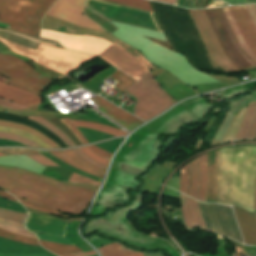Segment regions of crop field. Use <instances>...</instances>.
<instances>
[{
  "label": "crop field",
  "mask_w": 256,
  "mask_h": 256,
  "mask_svg": "<svg viewBox=\"0 0 256 256\" xmlns=\"http://www.w3.org/2000/svg\"><path fill=\"white\" fill-rule=\"evenodd\" d=\"M0 188L69 214L81 213L97 190L95 187L72 185L9 167H0Z\"/></svg>",
  "instance_id": "8a807250"
},
{
  "label": "crop field",
  "mask_w": 256,
  "mask_h": 256,
  "mask_svg": "<svg viewBox=\"0 0 256 256\" xmlns=\"http://www.w3.org/2000/svg\"><path fill=\"white\" fill-rule=\"evenodd\" d=\"M212 59L224 71H236L256 67V64L241 50L231 27L221 8L204 10L215 34L225 52H223L213 29L203 10L188 9Z\"/></svg>",
  "instance_id": "ac0d7876"
},
{
  "label": "crop field",
  "mask_w": 256,
  "mask_h": 256,
  "mask_svg": "<svg viewBox=\"0 0 256 256\" xmlns=\"http://www.w3.org/2000/svg\"><path fill=\"white\" fill-rule=\"evenodd\" d=\"M119 29L112 35L130 46L140 50L144 57L157 66H160L176 76L187 85L217 82L201 71L194 69L184 55L172 52L142 35L165 40L164 33H158L139 27L125 25L111 21Z\"/></svg>",
  "instance_id": "34b2d1b8"
},
{
  "label": "crop field",
  "mask_w": 256,
  "mask_h": 256,
  "mask_svg": "<svg viewBox=\"0 0 256 256\" xmlns=\"http://www.w3.org/2000/svg\"><path fill=\"white\" fill-rule=\"evenodd\" d=\"M180 196L181 211L186 228L193 230V227H200L201 230L204 229L206 231L226 235L240 243H243L230 206L203 204L195 201L203 226L202 229L194 201L182 194H180Z\"/></svg>",
  "instance_id": "412701ff"
},
{
  "label": "crop field",
  "mask_w": 256,
  "mask_h": 256,
  "mask_svg": "<svg viewBox=\"0 0 256 256\" xmlns=\"http://www.w3.org/2000/svg\"><path fill=\"white\" fill-rule=\"evenodd\" d=\"M56 0H0V22L9 30L36 36L41 17Z\"/></svg>",
  "instance_id": "f4fd0767"
},
{
  "label": "crop field",
  "mask_w": 256,
  "mask_h": 256,
  "mask_svg": "<svg viewBox=\"0 0 256 256\" xmlns=\"http://www.w3.org/2000/svg\"><path fill=\"white\" fill-rule=\"evenodd\" d=\"M0 42L5 44L11 51L32 58L38 63L66 76L69 72L74 71L81 64L95 57L42 44H39L36 51H34L3 39H0Z\"/></svg>",
  "instance_id": "dd49c442"
},
{
  "label": "crop field",
  "mask_w": 256,
  "mask_h": 256,
  "mask_svg": "<svg viewBox=\"0 0 256 256\" xmlns=\"http://www.w3.org/2000/svg\"><path fill=\"white\" fill-rule=\"evenodd\" d=\"M126 92L136 98L138 104L135 105V116L144 121L153 118L176 102L162 90L151 72Z\"/></svg>",
  "instance_id": "e52e79f7"
},
{
  "label": "crop field",
  "mask_w": 256,
  "mask_h": 256,
  "mask_svg": "<svg viewBox=\"0 0 256 256\" xmlns=\"http://www.w3.org/2000/svg\"><path fill=\"white\" fill-rule=\"evenodd\" d=\"M0 75L9 79L6 84L38 96L52 81L36 72L27 62L4 54H0Z\"/></svg>",
  "instance_id": "d8731c3e"
},
{
  "label": "crop field",
  "mask_w": 256,
  "mask_h": 256,
  "mask_svg": "<svg viewBox=\"0 0 256 256\" xmlns=\"http://www.w3.org/2000/svg\"><path fill=\"white\" fill-rule=\"evenodd\" d=\"M85 5L110 20L161 31L154 14L151 12L103 0H87Z\"/></svg>",
  "instance_id": "5a996713"
},
{
  "label": "crop field",
  "mask_w": 256,
  "mask_h": 256,
  "mask_svg": "<svg viewBox=\"0 0 256 256\" xmlns=\"http://www.w3.org/2000/svg\"><path fill=\"white\" fill-rule=\"evenodd\" d=\"M256 17V6H250ZM249 6L233 7L252 46L256 49V19ZM232 7L222 8L242 50L256 63V50L251 46Z\"/></svg>",
  "instance_id": "3316defc"
},
{
  "label": "crop field",
  "mask_w": 256,
  "mask_h": 256,
  "mask_svg": "<svg viewBox=\"0 0 256 256\" xmlns=\"http://www.w3.org/2000/svg\"><path fill=\"white\" fill-rule=\"evenodd\" d=\"M98 56L136 80L150 71L136 54L117 42Z\"/></svg>",
  "instance_id": "28ad6ade"
},
{
  "label": "crop field",
  "mask_w": 256,
  "mask_h": 256,
  "mask_svg": "<svg viewBox=\"0 0 256 256\" xmlns=\"http://www.w3.org/2000/svg\"><path fill=\"white\" fill-rule=\"evenodd\" d=\"M41 37L57 40L68 49L96 55L100 54L112 44L106 40L95 38L93 36H76L51 30H42Z\"/></svg>",
  "instance_id": "d1516ede"
},
{
  "label": "crop field",
  "mask_w": 256,
  "mask_h": 256,
  "mask_svg": "<svg viewBox=\"0 0 256 256\" xmlns=\"http://www.w3.org/2000/svg\"><path fill=\"white\" fill-rule=\"evenodd\" d=\"M85 0H59L47 15L60 18L71 23L102 31L98 25L81 15Z\"/></svg>",
  "instance_id": "22f410ed"
},
{
  "label": "crop field",
  "mask_w": 256,
  "mask_h": 256,
  "mask_svg": "<svg viewBox=\"0 0 256 256\" xmlns=\"http://www.w3.org/2000/svg\"><path fill=\"white\" fill-rule=\"evenodd\" d=\"M25 227L32 232L64 237L66 224L55 218L29 213Z\"/></svg>",
  "instance_id": "cbeb9de0"
},
{
  "label": "crop field",
  "mask_w": 256,
  "mask_h": 256,
  "mask_svg": "<svg viewBox=\"0 0 256 256\" xmlns=\"http://www.w3.org/2000/svg\"><path fill=\"white\" fill-rule=\"evenodd\" d=\"M91 100L99 107L97 109H99L105 115L114 119L130 131H133L134 129L145 123L99 96L93 97L91 98Z\"/></svg>",
  "instance_id": "5142ce71"
},
{
  "label": "crop field",
  "mask_w": 256,
  "mask_h": 256,
  "mask_svg": "<svg viewBox=\"0 0 256 256\" xmlns=\"http://www.w3.org/2000/svg\"><path fill=\"white\" fill-rule=\"evenodd\" d=\"M0 256H55L41 247L0 238Z\"/></svg>",
  "instance_id": "d9b57169"
},
{
  "label": "crop field",
  "mask_w": 256,
  "mask_h": 256,
  "mask_svg": "<svg viewBox=\"0 0 256 256\" xmlns=\"http://www.w3.org/2000/svg\"><path fill=\"white\" fill-rule=\"evenodd\" d=\"M245 244L256 245V219L249 213L233 207Z\"/></svg>",
  "instance_id": "733c2abd"
},
{
  "label": "crop field",
  "mask_w": 256,
  "mask_h": 256,
  "mask_svg": "<svg viewBox=\"0 0 256 256\" xmlns=\"http://www.w3.org/2000/svg\"><path fill=\"white\" fill-rule=\"evenodd\" d=\"M0 97L25 106L34 105L41 102V99L33 94L2 83H0Z\"/></svg>",
  "instance_id": "4a817a6b"
},
{
  "label": "crop field",
  "mask_w": 256,
  "mask_h": 256,
  "mask_svg": "<svg viewBox=\"0 0 256 256\" xmlns=\"http://www.w3.org/2000/svg\"><path fill=\"white\" fill-rule=\"evenodd\" d=\"M218 151L219 149L208 152L209 189L207 202L211 203H215L216 200Z\"/></svg>",
  "instance_id": "bc2a9ffb"
},
{
  "label": "crop field",
  "mask_w": 256,
  "mask_h": 256,
  "mask_svg": "<svg viewBox=\"0 0 256 256\" xmlns=\"http://www.w3.org/2000/svg\"><path fill=\"white\" fill-rule=\"evenodd\" d=\"M198 164L200 170V189L199 200L206 202L207 189H208V170H207V153L198 157Z\"/></svg>",
  "instance_id": "214f88e0"
},
{
  "label": "crop field",
  "mask_w": 256,
  "mask_h": 256,
  "mask_svg": "<svg viewBox=\"0 0 256 256\" xmlns=\"http://www.w3.org/2000/svg\"><path fill=\"white\" fill-rule=\"evenodd\" d=\"M98 251L101 256H143L142 253L130 251L118 243L98 248Z\"/></svg>",
  "instance_id": "92a150f3"
},
{
  "label": "crop field",
  "mask_w": 256,
  "mask_h": 256,
  "mask_svg": "<svg viewBox=\"0 0 256 256\" xmlns=\"http://www.w3.org/2000/svg\"><path fill=\"white\" fill-rule=\"evenodd\" d=\"M0 165H9V166H16V167H21L36 173L41 174L42 170L44 167L40 165L33 164L31 162L19 160L15 157L12 156H7V157H0Z\"/></svg>",
  "instance_id": "dafd665d"
},
{
  "label": "crop field",
  "mask_w": 256,
  "mask_h": 256,
  "mask_svg": "<svg viewBox=\"0 0 256 256\" xmlns=\"http://www.w3.org/2000/svg\"><path fill=\"white\" fill-rule=\"evenodd\" d=\"M191 174V185L189 189V196L197 199L199 189V170L197 165V159L189 163Z\"/></svg>",
  "instance_id": "00972430"
},
{
  "label": "crop field",
  "mask_w": 256,
  "mask_h": 256,
  "mask_svg": "<svg viewBox=\"0 0 256 256\" xmlns=\"http://www.w3.org/2000/svg\"><path fill=\"white\" fill-rule=\"evenodd\" d=\"M39 242L44 248H46L54 253L69 254V253L83 252L81 249L77 248L76 246H68V245H63V244L49 243V242H45V241H41V240H39Z\"/></svg>",
  "instance_id": "a9b5d70f"
},
{
  "label": "crop field",
  "mask_w": 256,
  "mask_h": 256,
  "mask_svg": "<svg viewBox=\"0 0 256 256\" xmlns=\"http://www.w3.org/2000/svg\"><path fill=\"white\" fill-rule=\"evenodd\" d=\"M0 228L11 233L36 239V237L33 234L23 229L22 224H19L16 222H12V221H8L0 218Z\"/></svg>",
  "instance_id": "4177f3b9"
},
{
  "label": "crop field",
  "mask_w": 256,
  "mask_h": 256,
  "mask_svg": "<svg viewBox=\"0 0 256 256\" xmlns=\"http://www.w3.org/2000/svg\"><path fill=\"white\" fill-rule=\"evenodd\" d=\"M71 121L74 123V125L76 127L91 128V129H95L97 131L110 133V134H113L115 136H120V135H126L127 134V132H123V131H120V130H117V129H114V128H111V127L100 125V124L74 121V120H71Z\"/></svg>",
  "instance_id": "730fd06b"
},
{
  "label": "crop field",
  "mask_w": 256,
  "mask_h": 256,
  "mask_svg": "<svg viewBox=\"0 0 256 256\" xmlns=\"http://www.w3.org/2000/svg\"><path fill=\"white\" fill-rule=\"evenodd\" d=\"M25 118H28L30 120H33V121H36V122L40 123L41 125H43L47 129L52 131L54 134H56L58 137H60L69 147L75 146L59 129H57L52 124H50L49 122L44 120L42 117H40V116H29V117H25Z\"/></svg>",
  "instance_id": "eef30255"
},
{
  "label": "crop field",
  "mask_w": 256,
  "mask_h": 256,
  "mask_svg": "<svg viewBox=\"0 0 256 256\" xmlns=\"http://www.w3.org/2000/svg\"><path fill=\"white\" fill-rule=\"evenodd\" d=\"M0 132H7V133L15 134V135L24 137V138H26V139H28L30 141H33V142L39 144L40 146H42L43 148L53 149L49 145H47L45 142L40 140L39 138H37V137H35V136L25 132V131H21V130L9 128V127H1L0 126Z\"/></svg>",
  "instance_id": "ae1a2a85"
},
{
  "label": "crop field",
  "mask_w": 256,
  "mask_h": 256,
  "mask_svg": "<svg viewBox=\"0 0 256 256\" xmlns=\"http://www.w3.org/2000/svg\"><path fill=\"white\" fill-rule=\"evenodd\" d=\"M61 153H63L64 155L68 156L69 158H71L72 160H74L75 162H77L78 164H80L81 166L89 169V170H92V171H95L97 173H100L102 175H105V170L99 168V167H96L86 161H84L79 155H77L75 152H73L72 150H68V151H60Z\"/></svg>",
  "instance_id": "d3111659"
},
{
  "label": "crop field",
  "mask_w": 256,
  "mask_h": 256,
  "mask_svg": "<svg viewBox=\"0 0 256 256\" xmlns=\"http://www.w3.org/2000/svg\"><path fill=\"white\" fill-rule=\"evenodd\" d=\"M0 125L2 126H9V127H13V128H18V129H22L25 131H28L34 135H36L37 137H39L40 139H42L43 141H45L46 143H48L51 147H53L54 149H58L60 148L58 145H56L54 142H52L50 139H48L47 137H45L44 135H42L41 133L27 127L24 125H20V124H15V123H9V122H3L0 121Z\"/></svg>",
  "instance_id": "750c4746"
},
{
  "label": "crop field",
  "mask_w": 256,
  "mask_h": 256,
  "mask_svg": "<svg viewBox=\"0 0 256 256\" xmlns=\"http://www.w3.org/2000/svg\"><path fill=\"white\" fill-rule=\"evenodd\" d=\"M38 152H40L41 154H43L44 156H46L47 158H49L50 160L54 161L55 163H57L58 165H60L61 167L65 168L67 170H70V171L75 172L77 174H80V175H83L85 177L92 178V179H95V180H98V181L102 182V179L97 178V177L92 176V175H89L87 173L81 172V171H79V170H77V169L67 165L66 163H64L63 161L59 160L58 158H56L55 156H53L52 154H50L47 151H38Z\"/></svg>",
  "instance_id": "bd1437ed"
},
{
  "label": "crop field",
  "mask_w": 256,
  "mask_h": 256,
  "mask_svg": "<svg viewBox=\"0 0 256 256\" xmlns=\"http://www.w3.org/2000/svg\"><path fill=\"white\" fill-rule=\"evenodd\" d=\"M111 77L115 78L116 80L120 81L121 83L117 85L116 87L119 88L122 92L127 89L129 86H131L136 81L130 78L129 76L125 75L121 71H117L114 73Z\"/></svg>",
  "instance_id": "1d83c4d3"
},
{
  "label": "crop field",
  "mask_w": 256,
  "mask_h": 256,
  "mask_svg": "<svg viewBox=\"0 0 256 256\" xmlns=\"http://www.w3.org/2000/svg\"><path fill=\"white\" fill-rule=\"evenodd\" d=\"M189 168L188 165L181 168V175H180V192L188 196V188H189Z\"/></svg>",
  "instance_id": "120bbe31"
},
{
  "label": "crop field",
  "mask_w": 256,
  "mask_h": 256,
  "mask_svg": "<svg viewBox=\"0 0 256 256\" xmlns=\"http://www.w3.org/2000/svg\"><path fill=\"white\" fill-rule=\"evenodd\" d=\"M0 237L10 239V240H14L16 242H21V243L40 246L37 240L21 237V236L15 235V234H11V233H8V232L3 231L1 229H0Z\"/></svg>",
  "instance_id": "d32e631a"
},
{
  "label": "crop field",
  "mask_w": 256,
  "mask_h": 256,
  "mask_svg": "<svg viewBox=\"0 0 256 256\" xmlns=\"http://www.w3.org/2000/svg\"><path fill=\"white\" fill-rule=\"evenodd\" d=\"M109 1H113V2H117V3L125 4V5H128V6H132V7L152 11V9H151L147 0H109Z\"/></svg>",
  "instance_id": "5866460e"
},
{
  "label": "crop field",
  "mask_w": 256,
  "mask_h": 256,
  "mask_svg": "<svg viewBox=\"0 0 256 256\" xmlns=\"http://www.w3.org/2000/svg\"><path fill=\"white\" fill-rule=\"evenodd\" d=\"M0 217L23 223L26 214L0 209Z\"/></svg>",
  "instance_id": "028f5c9d"
},
{
  "label": "crop field",
  "mask_w": 256,
  "mask_h": 256,
  "mask_svg": "<svg viewBox=\"0 0 256 256\" xmlns=\"http://www.w3.org/2000/svg\"><path fill=\"white\" fill-rule=\"evenodd\" d=\"M16 197V196H15ZM22 204L26 205L27 207L29 208H32V209H36V210H40V211H43V212H47V213H51V214H55V215H58V216H61V217H64V218H69L68 216L66 215H61L59 213V211H55V210H52V209H49V208H45V207H41V206H38L36 204H33L29 201H26L22 198H19V197H16ZM25 206V207H26Z\"/></svg>",
  "instance_id": "e1f06a70"
},
{
  "label": "crop field",
  "mask_w": 256,
  "mask_h": 256,
  "mask_svg": "<svg viewBox=\"0 0 256 256\" xmlns=\"http://www.w3.org/2000/svg\"><path fill=\"white\" fill-rule=\"evenodd\" d=\"M49 152L52 153L53 155H55L56 157L62 159L63 161L69 163L70 165H72V166H74V167H76V168H78V169H80V170H82L84 172H87L89 174L95 175V176L100 177L102 179L104 178L103 176H101V175H99L97 173H94L92 171H89V170L81 167L80 165H78L77 163H75L74 161H72L71 159H69L68 157L64 156L63 154H61L58 151H49Z\"/></svg>",
  "instance_id": "0bd39190"
},
{
  "label": "crop field",
  "mask_w": 256,
  "mask_h": 256,
  "mask_svg": "<svg viewBox=\"0 0 256 256\" xmlns=\"http://www.w3.org/2000/svg\"><path fill=\"white\" fill-rule=\"evenodd\" d=\"M0 139H9V140H14V141H17V142H20L28 147H33V148H41L40 146L24 139V138H21V137H18V136H14V135H10V134H6V133H0ZM43 149V148H41Z\"/></svg>",
  "instance_id": "b80d0937"
},
{
  "label": "crop field",
  "mask_w": 256,
  "mask_h": 256,
  "mask_svg": "<svg viewBox=\"0 0 256 256\" xmlns=\"http://www.w3.org/2000/svg\"><path fill=\"white\" fill-rule=\"evenodd\" d=\"M0 202L14 206V207H11V206L0 204V208L10 209V210H14V211L27 213L26 209L19 203L11 202V201H8V200L3 199V198H0Z\"/></svg>",
  "instance_id": "c035e120"
},
{
  "label": "crop field",
  "mask_w": 256,
  "mask_h": 256,
  "mask_svg": "<svg viewBox=\"0 0 256 256\" xmlns=\"http://www.w3.org/2000/svg\"><path fill=\"white\" fill-rule=\"evenodd\" d=\"M69 182L72 183H85V184H91V185H100V182H97L95 180L92 179H88L82 176H78L76 174L73 173V175L71 176V178L69 179Z\"/></svg>",
  "instance_id": "c21b1889"
},
{
  "label": "crop field",
  "mask_w": 256,
  "mask_h": 256,
  "mask_svg": "<svg viewBox=\"0 0 256 256\" xmlns=\"http://www.w3.org/2000/svg\"><path fill=\"white\" fill-rule=\"evenodd\" d=\"M84 154H86L89 158H91L92 160L100 163V164H103V165H108V159H105V158H102L92 152H90L86 147H83V148H79Z\"/></svg>",
  "instance_id": "03da06ac"
},
{
  "label": "crop field",
  "mask_w": 256,
  "mask_h": 256,
  "mask_svg": "<svg viewBox=\"0 0 256 256\" xmlns=\"http://www.w3.org/2000/svg\"><path fill=\"white\" fill-rule=\"evenodd\" d=\"M1 152L8 153L11 155H19V154H37L38 152L34 150H26V149H15V148H1Z\"/></svg>",
  "instance_id": "b54c1fbb"
},
{
  "label": "crop field",
  "mask_w": 256,
  "mask_h": 256,
  "mask_svg": "<svg viewBox=\"0 0 256 256\" xmlns=\"http://www.w3.org/2000/svg\"><path fill=\"white\" fill-rule=\"evenodd\" d=\"M62 122H64L75 134V136L78 138V140L81 142L82 145L88 144V142L85 140V138L79 133V131L74 127L72 122L70 121L69 118L62 119Z\"/></svg>",
  "instance_id": "5d738f31"
},
{
  "label": "crop field",
  "mask_w": 256,
  "mask_h": 256,
  "mask_svg": "<svg viewBox=\"0 0 256 256\" xmlns=\"http://www.w3.org/2000/svg\"><path fill=\"white\" fill-rule=\"evenodd\" d=\"M167 3L175 4L176 0H159ZM199 0H177L175 5L195 8Z\"/></svg>",
  "instance_id": "d23c7cc5"
},
{
  "label": "crop field",
  "mask_w": 256,
  "mask_h": 256,
  "mask_svg": "<svg viewBox=\"0 0 256 256\" xmlns=\"http://www.w3.org/2000/svg\"><path fill=\"white\" fill-rule=\"evenodd\" d=\"M36 235L41 240L72 245L69 241H67L65 238H62V237H52V236L38 235V234Z\"/></svg>",
  "instance_id": "425ffa30"
},
{
  "label": "crop field",
  "mask_w": 256,
  "mask_h": 256,
  "mask_svg": "<svg viewBox=\"0 0 256 256\" xmlns=\"http://www.w3.org/2000/svg\"><path fill=\"white\" fill-rule=\"evenodd\" d=\"M29 157L35 159L36 161H38L39 163H41L42 165H45V166H57L56 164H54L53 162H51L49 159H47L46 157H44L41 154L30 155Z\"/></svg>",
  "instance_id": "25e5ab78"
},
{
  "label": "crop field",
  "mask_w": 256,
  "mask_h": 256,
  "mask_svg": "<svg viewBox=\"0 0 256 256\" xmlns=\"http://www.w3.org/2000/svg\"><path fill=\"white\" fill-rule=\"evenodd\" d=\"M0 106H2L4 108L14 109V110H22V109L27 108V107H24V106L13 104V103L8 102V101L3 100V99H0Z\"/></svg>",
  "instance_id": "73cf0c24"
},
{
  "label": "crop field",
  "mask_w": 256,
  "mask_h": 256,
  "mask_svg": "<svg viewBox=\"0 0 256 256\" xmlns=\"http://www.w3.org/2000/svg\"><path fill=\"white\" fill-rule=\"evenodd\" d=\"M87 148L90 149L91 151H93L94 153L102 156V157L110 158V156H111V153L102 151V150L96 148L94 145L87 146Z\"/></svg>",
  "instance_id": "89e229c0"
},
{
  "label": "crop field",
  "mask_w": 256,
  "mask_h": 256,
  "mask_svg": "<svg viewBox=\"0 0 256 256\" xmlns=\"http://www.w3.org/2000/svg\"><path fill=\"white\" fill-rule=\"evenodd\" d=\"M73 151H75L77 154H79L84 160H86V161H88V162H90V163H92V164H94V165H97V166H99V167H102V168H104V169L107 168L106 166L100 165V164H98V163L92 161L91 159H89L86 155H84V154H83L81 151H79L78 149H74Z\"/></svg>",
  "instance_id": "1f2cbd36"
},
{
  "label": "crop field",
  "mask_w": 256,
  "mask_h": 256,
  "mask_svg": "<svg viewBox=\"0 0 256 256\" xmlns=\"http://www.w3.org/2000/svg\"><path fill=\"white\" fill-rule=\"evenodd\" d=\"M117 42H119V43L122 44L123 46L129 48L130 50L134 51L133 49H131L130 47L126 46V45L123 44L122 42H120V41H117ZM134 52H135V51H134ZM136 53H137V52H136ZM137 54H138V53H137ZM138 56L145 62V64L149 67L150 70L154 68V66H152L153 64L151 65L150 63H148L140 54H138Z\"/></svg>",
  "instance_id": "dbb93151"
},
{
  "label": "crop field",
  "mask_w": 256,
  "mask_h": 256,
  "mask_svg": "<svg viewBox=\"0 0 256 256\" xmlns=\"http://www.w3.org/2000/svg\"><path fill=\"white\" fill-rule=\"evenodd\" d=\"M96 254L94 251L80 253V254H71V255H58V256H87V255H93Z\"/></svg>",
  "instance_id": "0fb4a251"
},
{
  "label": "crop field",
  "mask_w": 256,
  "mask_h": 256,
  "mask_svg": "<svg viewBox=\"0 0 256 256\" xmlns=\"http://www.w3.org/2000/svg\"><path fill=\"white\" fill-rule=\"evenodd\" d=\"M0 196L6 198V199H8V200H12V201L18 202L15 198H13V197L10 196L9 194H7V193H5V192H3V191H1V190H0Z\"/></svg>",
  "instance_id": "1d79db26"
},
{
  "label": "crop field",
  "mask_w": 256,
  "mask_h": 256,
  "mask_svg": "<svg viewBox=\"0 0 256 256\" xmlns=\"http://www.w3.org/2000/svg\"><path fill=\"white\" fill-rule=\"evenodd\" d=\"M16 157L33 161L31 158H29V157H27V156H16ZM33 162H35V161H33Z\"/></svg>",
  "instance_id": "9d1cf04e"
},
{
  "label": "crop field",
  "mask_w": 256,
  "mask_h": 256,
  "mask_svg": "<svg viewBox=\"0 0 256 256\" xmlns=\"http://www.w3.org/2000/svg\"><path fill=\"white\" fill-rule=\"evenodd\" d=\"M256 3V0H245L244 4Z\"/></svg>",
  "instance_id": "447ae74e"
},
{
  "label": "crop field",
  "mask_w": 256,
  "mask_h": 256,
  "mask_svg": "<svg viewBox=\"0 0 256 256\" xmlns=\"http://www.w3.org/2000/svg\"><path fill=\"white\" fill-rule=\"evenodd\" d=\"M8 79H6V78H4V77H2V76H0V82H5V81H7Z\"/></svg>",
  "instance_id": "0765c3eb"
},
{
  "label": "crop field",
  "mask_w": 256,
  "mask_h": 256,
  "mask_svg": "<svg viewBox=\"0 0 256 256\" xmlns=\"http://www.w3.org/2000/svg\"><path fill=\"white\" fill-rule=\"evenodd\" d=\"M9 25L0 23V27H6L8 28Z\"/></svg>",
  "instance_id": "db79e9e6"
},
{
  "label": "crop field",
  "mask_w": 256,
  "mask_h": 256,
  "mask_svg": "<svg viewBox=\"0 0 256 256\" xmlns=\"http://www.w3.org/2000/svg\"><path fill=\"white\" fill-rule=\"evenodd\" d=\"M255 215H256V195H255V211H254Z\"/></svg>",
  "instance_id": "7b73153f"
},
{
  "label": "crop field",
  "mask_w": 256,
  "mask_h": 256,
  "mask_svg": "<svg viewBox=\"0 0 256 256\" xmlns=\"http://www.w3.org/2000/svg\"><path fill=\"white\" fill-rule=\"evenodd\" d=\"M0 156H6V155L0 154Z\"/></svg>",
  "instance_id": "78b8030e"
},
{
  "label": "crop field",
  "mask_w": 256,
  "mask_h": 256,
  "mask_svg": "<svg viewBox=\"0 0 256 256\" xmlns=\"http://www.w3.org/2000/svg\"><path fill=\"white\" fill-rule=\"evenodd\" d=\"M256 139V138H255Z\"/></svg>",
  "instance_id": "0f1d7ab4"
}]
</instances>
